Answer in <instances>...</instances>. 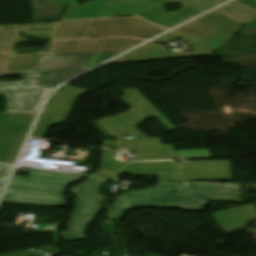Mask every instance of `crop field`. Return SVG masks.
I'll return each mask as SVG.
<instances>
[{
  "label": "crop field",
  "instance_id": "1",
  "mask_svg": "<svg viewBox=\"0 0 256 256\" xmlns=\"http://www.w3.org/2000/svg\"><path fill=\"white\" fill-rule=\"evenodd\" d=\"M90 67L0 74L23 78L0 84V94L7 98V112H0V162L14 164L47 92Z\"/></svg>",
  "mask_w": 256,
  "mask_h": 256
},
{
  "label": "crop field",
  "instance_id": "2",
  "mask_svg": "<svg viewBox=\"0 0 256 256\" xmlns=\"http://www.w3.org/2000/svg\"><path fill=\"white\" fill-rule=\"evenodd\" d=\"M240 24L230 17L213 11L154 40V42L168 44L174 38H184L196 50L194 53H169L164 45L148 43L109 64L210 56L235 35L241 27Z\"/></svg>",
  "mask_w": 256,
  "mask_h": 256
},
{
  "label": "crop field",
  "instance_id": "3",
  "mask_svg": "<svg viewBox=\"0 0 256 256\" xmlns=\"http://www.w3.org/2000/svg\"><path fill=\"white\" fill-rule=\"evenodd\" d=\"M78 0H48V5L70 4L60 21L87 20L122 16H138L170 29L203 11L182 2V10L175 14L165 12L164 6L177 0H96L76 5Z\"/></svg>",
  "mask_w": 256,
  "mask_h": 256
},
{
  "label": "crop field",
  "instance_id": "4",
  "mask_svg": "<svg viewBox=\"0 0 256 256\" xmlns=\"http://www.w3.org/2000/svg\"><path fill=\"white\" fill-rule=\"evenodd\" d=\"M83 178L84 175L31 170L27 178L14 176L2 202L62 208L67 187Z\"/></svg>",
  "mask_w": 256,
  "mask_h": 256
},
{
  "label": "crop field",
  "instance_id": "5",
  "mask_svg": "<svg viewBox=\"0 0 256 256\" xmlns=\"http://www.w3.org/2000/svg\"><path fill=\"white\" fill-rule=\"evenodd\" d=\"M207 203V200L182 196L180 184L159 183L157 187L134 190L119 197L105 220H120L127 210L149 207L203 211Z\"/></svg>",
  "mask_w": 256,
  "mask_h": 256
},
{
  "label": "crop field",
  "instance_id": "6",
  "mask_svg": "<svg viewBox=\"0 0 256 256\" xmlns=\"http://www.w3.org/2000/svg\"><path fill=\"white\" fill-rule=\"evenodd\" d=\"M139 125L129 112L95 122L106 138H118L125 149L137 151V161L178 158L172 145H163L160 137L147 138L135 129Z\"/></svg>",
  "mask_w": 256,
  "mask_h": 256
},
{
  "label": "crop field",
  "instance_id": "7",
  "mask_svg": "<svg viewBox=\"0 0 256 256\" xmlns=\"http://www.w3.org/2000/svg\"><path fill=\"white\" fill-rule=\"evenodd\" d=\"M105 178L89 176L86 183L72 186V194L77 196L73 200L75 206L66 231L62 238L67 241L83 239L86 236L89 222H94L100 211L105 208L102 204L103 196L100 195Z\"/></svg>",
  "mask_w": 256,
  "mask_h": 256
},
{
  "label": "crop field",
  "instance_id": "8",
  "mask_svg": "<svg viewBox=\"0 0 256 256\" xmlns=\"http://www.w3.org/2000/svg\"><path fill=\"white\" fill-rule=\"evenodd\" d=\"M115 150L101 149V163L94 173L119 178L122 173L132 176H157L158 181L179 182V164L167 162L120 163L113 159Z\"/></svg>",
  "mask_w": 256,
  "mask_h": 256
},
{
  "label": "crop field",
  "instance_id": "9",
  "mask_svg": "<svg viewBox=\"0 0 256 256\" xmlns=\"http://www.w3.org/2000/svg\"><path fill=\"white\" fill-rule=\"evenodd\" d=\"M232 180L230 161H181L180 181Z\"/></svg>",
  "mask_w": 256,
  "mask_h": 256
},
{
  "label": "crop field",
  "instance_id": "10",
  "mask_svg": "<svg viewBox=\"0 0 256 256\" xmlns=\"http://www.w3.org/2000/svg\"><path fill=\"white\" fill-rule=\"evenodd\" d=\"M76 100V97L54 93L47 102L32 137L44 138L51 125L65 122Z\"/></svg>",
  "mask_w": 256,
  "mask_h": 256
},
{
  "label": "crop field",
  "instance_id": "11",
  "mask_svg": "<svg viewBox=\"0 0 256 256\" xmlns=\"http://www.w3.org/2000/svg\"><path fill=\"white\" fill-rule=\"evenodd\" d=\"M182 194L214 201L241 203V185L182 183Z\"/></svg>",
  "mask_w": 256,
  "mask_h": 256
},
{
  "label": "crop field",
  "instance_id": "12",
  "mask_svg": "<svg viewBox=\"0 0 256 256\" xmlns=\"http://www.w3.org/2000/svg\"><path fill=\"white\" fill-rule=\"evenodd\" d=\"M124 95L120 98L129 107V112L141 124L149 117H156L168 130L177 128L137 89H123Z\"/></svg>",
  "mask_w": 256,
  "mask_h": 256
},
{
  "label": "crop field",
  "instance_id": "13",
  "mask_svg": "<svg viewBox=\"0 0 256 256\" xmlns=\"http://www.w3.org/2000/svg\"><path fill=\"white\" fill-rule=\"evenodd\" d=\"M98 53L43 56L37 70L90 65Z\"/></svg>",
  "mask_w": 256,
  "mask_h": 256
},
{
  "label": "crop field",
  "instance_id": "14",
  "mask_svg": "<svg viewBox=\"0 0 256 256\" xmlns=\"http://www.w3.org/2000/svg\"><path fill=\"white\" fill-rule=\"evenodd\" d=\"M42 53L13 55L5 72L36 70Z\"/></svg>",
  "mask_w": 256,
  "mask_h": 256
},
{
  "label": "crop field",
  "instance_id": "15",
  "mask_svg": "<svg viewBox=\"0 0 256 256\" xmlns=\"http://www.w3.org/2000/svg\"><path fill=\"white\" fill-rule=\"evenodd\" d=\"M217 11L230 16L240 22H243L245 24H248L253 19L256 18V13L235 3L232 2L230 4H227L219 9Z\"/></svg>",
  "mask_w": 256,
  "mask_h": 256
},
{
  "label": "crop field",
  "instance_id": "16",
  "mask_svg": "<svg viewBox=\"0 0 256 256\" xmlns=\"http://www.w3.org/2000/svg\"><path fill=\"white\" fill-rule=\"evenodd\" d=\"M203 11H206L226 0H179Z\"/></svg>",
  "mask_w": 256,
  "mask_h": 256
},
{
  "label": "crop field",
  "instance_id": "17",
  "mask_svg": "<svg viewBox=\"0 0 256 256\" xmlns=\"http://www.w3.org/2000/svg\"><path fill=\"white\" fill-rule=\"evenodd\" d=\"M180 159L212 157L209 150L176 151Z\"/></svg>",
  "mask_w": 256,
  "mask_h": 256
},
{
  "label": "crop field",
  "instance_id": "18",
  "mask_svg": "<svg viewBox=\"0 0 256 256\" xmlns=\"http://www.w3.org/2000/svg\"><path fill=\"white\" fill-rule=\"evenodd\" d=\"M57 93H62V94H66V95H71V96H77L79 97L80 95L88 92V91H84V90H80L74 87H70V86H63L61 89H59L58 91H56Z\"/></svg>",
  "mask_w": 256,
  "mask_h": 256
},
{
  "label": "crop field",
  "instance_id": "19",
  "mask_svg": "<svg viewBox=\"0 0 256 256\" xmlns=\"http://www.w3.org/2000/svg\"><path fill=\"white\" fill-rule=\"evenodd\" d=\"M237 35L256 37V19L239 31Z\"/></svg>",
  "mask_w": 256,
  "mask_h": 256
},
{
  "label": "crop field",
  "instance_id": "20",
  "mask_svg": "<svg viewBox=\"0 0 256 256\" xmlns=\"http://www.w3.org/2000/svg\"><path fill=\"white\" fill-rule=\"evenodd\" d=\"M13 166L0 164V186L3 187Z\"/></svg>",
  "mask_w": 256,
  "mask_h": 256
},
{
  "label": "crop field",
  "instance_id": "21",
  "mask_svg": "<svg viewBox=\"0 0 256 256\" xmlns=\"http://www.w3.org/2000/svg\"><path fill=\"white\" fill-rule=\"evenodd\" d=\"M120 53L118 52H104V53H99L98 56L95 58V60L92 62L91 65H97L109 58H112Z\"/></svg>",
  "mask_w": 256,
  "mask_h": 256
},
{
  "label": "crop field",
  "instance_id": "22",
  "mask_svg": "<svg viewBox=\"0 0 256 256\" xmlns=\"http://www.w3.org/2000/svg\"><path fill=\"white\" fill-rule=\"evenodd\" d=\"M102 147L122 148L118 141L105 140Z\"/></svg>",
  "mask_w": 256,
  "mask_h": 256
},
{
  "label": "crop field",
  "instance_id": "23",
  "mask_svg": "<svg viewBox=\"0 0 256 256\" xmlns=\"http://www.w3.org/2000/svg\"><path fill=\"white\" fill-rule=\"evenodd\" d=\"M1 189H2V188H0V193H1Z\"/></svg>",
  "mask_w": 256,
  "mask_h": 256
}]
</instances>
